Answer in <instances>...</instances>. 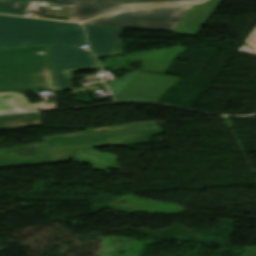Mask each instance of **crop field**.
<instances>
[{"label": "crop field", "mask_w": 256, "mask_h": 256, "mask_svg": "<svg viewBox=\"0 0 256 256\" xmlns=\"http://www.w3.org/2000/svg\"><path fill=\"white\" fill-rule=\"evenodd\" d=\"M47 44L55 91L73 89L69 71L100 67L80 24L0 16V48Z\"/></svg>", "instance_id": "crop-field-1"}, {"label": "crop field", "mask_w": 256, "mask_h": 256, "mask_svg": "<svg viewBox=\"0 0 256 256\" xmlns=\"http://www.w3.org/2000/svg\"><path fill=\"white\" fill-rule=\"evenodd\" d=\"M49 88L54 86L47 45L0 49V92Z\"/></svg>", "instance_id": "crop-field-2"}, {"label": "crop field", "mask_w": 256, "mask_h": 256, "mask_svg": "<svg viewBox=\"0 0 256 256\" xmlns=\"http://www.w3.org/2000/svg\"><path fill=\"white\" fill-rule=\"evenodd\" d=\"M159 131L157 123H151L46 139L41 164L67 162L74 156V149L143 144Z\"/></svg>", "instance_id": "crop-field-3"}, {"label": "crop field", "mask_w": 256, "mask_h": 256, "mask_svg": "<svg viewBox=\"0 0 256 256\" xmlns=\"http://www.w3.org/2000/svg\"><path fill=\"white\" fill-rule=\"evenodd\" d=\"M190 7L191 6H170L122 10L117 13L86 22V24L127 29L145 28L174 32Z\"/></svg>", "instance_id": "crop-field-4"}, {"label": "crop field", "mask_w": 256, "mask_h": 256, "mask_svg": "<svg viewBox=\"0 0 256 256\" xmlns=\"http://www.w3.org/2000/svg\"><path fill=\"white\" fill-rule=\"evenodd\" d=\"M178 78L134 71L109 86L117 102H158Z\"/></svg>", "instance_id": "crop-field-5"}, {"label": "crop field", "mask_w": 256, "mask_h": 256, "mask_svg": "<svg viewBox=\"0 0 256 256\" xmlns=\"http://www.w3.org/2000/svg\"><path fill=\"white\" fill-rule=\"evenodd\" d=\"M59 5H75L73 21L90 19L122 7L146 5L187 4L202 0H44Z\"/></svg>", "instance_id": "crop-field-6"}, {"label": "crop field", "mask_w": 256, "mask_h": 256, "mask_svg": "<svg viewBox=\"0 0 256 256\" xmlns=\"http://www.w3.org/2000/svg\"><path fill=\"white\" fill-rule=\"evenodd\" d=\"M84 25L87 30L90 49L96 57L121 54V29Z\"/></svg>", "instance_id": "crop-field-7"}, {"label": "crop field", "mask_w": 256, "mask_h": 256, "mask_svg": "<svg viewBox=\"0 0 256 256\" xmlns=\"http://www.w3.org/2000/svg\"><path fill=\"white\" fill-rule=\"evenodd\" d=\"M222 0H208L201 5L193 6L183 18L174 33L197 36L206 21Z\"/></svg>", "instance_id": "crop-field-8"}, {"label": "crop field", "mask_w": 256, "mask_h": 256, "mask_svg": "<svg viewBox=\"0 0 256 256\" xmlns=\"http://www.w3.org/2000/svg\"><path fill=\"white\" fill-rule=\"evenodd\" d=\"M41 144L0 150V168L38 164Z\"/></svg>", "instance_id": "crop-field-9"}, {"label": "crop field", "mask_w": 256, "mask_h": 256, "mask_svg": "<svg viewBox=\"0 0 256 256\" xmlns=\"http://www.w3.org/2000/svg\"><path fill=\"white\" fill-rule=\"evenodd\" d=\"M37 109L21 92L0 93V113Z\"/></svg>", "instance_id": "crop-field-10"}, {"label": "crop field", "mask_w": 256, "mask_h": 256, "mask_svg": "<svg viewBox=\"0 0 256 256\" xmlns=\"http://www.w3.org/2000/svg\"><path fill=\"white\" fill-rule=\"evenodd\" d=\"M37 125H41L40 112L0 116V130Z\"/></svg>", "instance_id": "crop-field-11"}, {"label": "crop field", "mask_w": 256, "mask_h": 256, "mask_svg": "<svg viewBox=\"0 0 256 256\" xmlns=\"http://www.w3.org/2000/svg\"><path fill=\"white\" fill-rule=\"evenodd\" d=\"M28 0H0V13L22 15Z\"/></svg>", "instance_id": "crop-field-12"}, {"label": "crop field", "mask_w": 256, "mask_h": 256, "mask_svg": "<svg viewBox=\"0 0 256 256\" xmlns=\"http://www.w3.org/2000/svg\"><path fill=\"white\" fill-rule=\"evenodd\" d=\"M249 46L256 50V29L252 32V34L245 41Z\"/></svg>", "instance_id": "crop-field-13"}]
</instances>
